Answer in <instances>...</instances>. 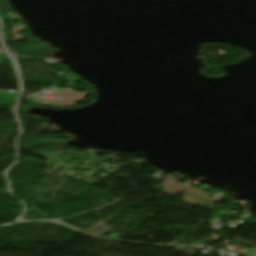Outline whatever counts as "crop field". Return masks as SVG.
I'll list each match as a JSON object with an SVG mask.
<instances>
[{
	"mask_svg": "<svg viewBox=\"0 0 256 256\" xmlns=\"http://www.w3.org/2000/svg\"><path fill=\"white\" fill-rule=\"evenodd\" d=\"M61 100L52 101L56 105H72L75 104L77 100H84L86 94L71 91V89H63L57 93Z\"/></svg>",
	"mask_w": 256,
	"mask_h": 256,
	"instance_id": "crop-field-1",
	"label": "crop field"
},
{
	"mask_svg": "<svg viewBox=\"0 0 256 256\" xmlns=\"http://www.w3.org/2000/svg\"><path fill=\"white\" fill-rule=\"evenodd\" d=\"M19 94H10L3 91H0V98L8 99V100H16Z\"/></svg>",
	"mask_w": 256,
	"mask_h": 256,
	"instance_id": "crop-field-2",
	"label": "crop field"
},
{
	"mask_svg": "<svg viewBox=\"0 0 256 256\" xmlns=\"http://www.w3.org/2000/svg\"><path fill=\"white\" fill-rule=\"evenodd\" d=\"M7 59H9V57L5 53H3V55H0V63Z\"/></svg>",
	"mask_w": 256,
	"mask_h": 256,
	"instance_id": "crop-field-3",
	"label": "crop field"
}]
</instances>
